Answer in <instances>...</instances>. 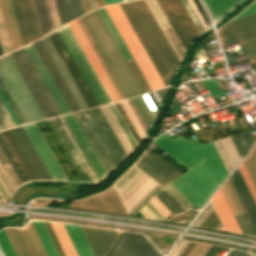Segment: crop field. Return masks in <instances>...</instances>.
Masks as SVG:
<instances>
[{
  "instance_id": "crop-field-46",
  "label": "crop field",
  "mask_w": 256,
  "mask_h": 256,
  "mask_svg": "<svg viewBox=\"0 0 256 256\" xmlns=\"http://www.w3.org/2000/svg\"><path fill=\"white\" fill-rule=\"evenodd\" d=\"M0 99H1V101L3 103V105L5 106L7 112L9 113L11 119L13 120L15 126H19L20 123H19L18 119L16 118L14 112L12 111L10 105L8 104L6 98L4 97V95H3L1 90H0Z\"/></svg>"
},
{
  "instance_id": "crop-field-9",
  "label": "crop field",
  "mask_w": 256,
  "mask_h": 256,
  "mask_svg": "<svg viewBox=\"0 0 256 256\" xmlns=\"http://www.w3.org/2000/svg\"><path fill=\"white\" fill-rule=\"evenodd\" d=\"M114 168L127 156L100 107L83 111Z\"/></svg>"
},
{
  "instance_id": "crop-field-7",
  "label": "crop field",
  "mask_w": 256,
  "mask_h": 256,
  "mask_svg": "<svg viewBox=\"0 0 256 256\" xmlns=\"http://www.w3.org/2000/svg\"><path fill=\"white\" fill-rule=\"evenodd\" d=\"M29 180L51 179L22 127L3 131Z\"/></svg>"
},
{
  "instance_id": "crop-field-22",
  "label": "crop field",
  "mask_w": 256,
  "mask_h": 256,
  "mask_svg": "<svg viewBox=\"0 0 256 256\" xmlns=\"http://www.w3.org/2000/svg\"><path fill=\"white\" fill-rule=\"evenodd\" d=\"M18 232L30 256H47L30 221Z\"/></svg>"
},
{
  "instance_id": "crop-field-50",
  "label": "crop field",
  "mask_w": 256,
  "mask_h": 256,
  "mask_svg": "<svg viewBox=\"0 0 256 256\" xmlns=\"http://www.w3.org/2000/svg\"><path fill=\"white\" fill-rule=\"evenodd\" d=\"M4 230H5V232H6L7 236H8V238H9V240H10V242H11V244H12V246H13L15 252H16V255H17V256H22L21 253H20V251H19V249H18V247H17V245H16V243H15V241H14V239H13V237H12V235H11V233H10V231H9V229L6 228V229H4Z\"/></svg>"
},
{
  "instance_id": "crop-field-15",
  "label": "crop field",
  "mask_w": 256,
  "mask_h": 256,
  "mask_svg": "<svg viewBox=\"0 0 256 256\" xmlns=\"http://www.w3.org/2000/svg\"><path fill=\"white\" fill-rule=\"evenodd\" d=\"M71 30L73 31L75 37L77 38L78 42L80 43L82 49L84 50L86 56L88 57L90 63L92 64L93 68L95 69L97 75L104 74L105 71L101 66L99 60L97 59L95 53L93 52L91 46L89 45L88 41L86 40L84 34L82 33L80 27L78 26L76 20L68 23ZM102 84L104 85L107 93L109 94L112 102L120 100L118 93L116 92L114 86L112 85L111 81L109 80L107 74L99 76Z\"/></svg>"
},
{
  "instance_id": "crop-field-45",
  "label": "crop field",
  "mask_w": 256,
  "mask_h": 256,
  "mask_svg": "<svg viewBox=\"0 0 256 256\" xmlns=\"http://www.w3.org/2000/svg\"><path fill=\"white\" fill-rule=\"evenodd\" d=\"M0 147L2 148L4 154L6 155V157H7L8 161H9V163L11 164V166H12L13 170L15 171L17 177L19 178L21 184L25 183L24 180H23V178H22V176H21V174L19 173L17 167L15 166V164H14L12 158L10 157V155H9V153H8V151H7V149L5 148L3 142L1 141V139H0Z\"/></svg>"
},
{
  "instance_id": "crop-field-43",
  "label": "crop field",
  "mask_w": 256,
  "mask_h": 256,
  "mask_svg": "<svg viewBox=\"0 0 256 256\" xmlns=\"http://www.w3.org/2000/svg\"><path fill=\"white\" fill-rule=\"evenodd\" d=\"M0 88H1V90L3 91V93H4L5 97L7 98V100H8V102H9V104L11 105V107H12L13 111L15 112V114H16V116H17V118L19 119V121H20L21 125H24V124H25V122H24L23 118L21 117L20 113L18 112V110H17L16 106L14 105V103H13L12 99L10 98V96H9V94H8L7 90L5 89V87H4V85H3V83H2V81H1V80H0Z\"/></svg>"
},
{
  "instance_id": "crop-field-4",
  "label": "crop field",
  "mask_w": 256,
  "mask_h": 256,
  "mask_svg": "<svg viewBox=\"0 0 256 256\" xmlns=\"http://www.w3.org/2000/svg\"><path fill=\"white\" fill-rule=\"evenodd\" d=\"M0 77L26 124L44 119L9 54L0 57Z\"/></svg>"
},
{
  "instance_id": "crop-field-1",
  "label": "crop field",
  "mask_w": 256,
  "mask_h": 256,
  "mask_svg": "<svg viewBox=\"0 0 256 256\" xmlns=\"http://www.w3.org/2000/svg\"><path fill=\"white\" fill-rule=\"evenodd\" d=\"M164 86L170 85L180 64L144 0L119 4Z\"/></svg>"
},
{
  "instance_id": "crop-field-6",
  "label": "crop field",
  "mask_w": 256,
  "mask_h": 256,
  "mask_svg": "<svg viewBox=\"0 0 256 256\" xmlns=\"http://www.w3.org/2000/svg\"><path fill=\"white\" fill-rule=\"evenodd\" d=\"M106 9L127 47L132 53L136 64L149 84L151 90L163 87L161 80L159 79L156 71L150 63L118 4L107 6Z\"/></svg>"
},
{
  "instance_id": "crop-field-36",
  "label": "crop field",
  "mask_w": 256,
  "mask_h": 256,
  "mask_svg": "<svg viewBox=\"0 0 256 256\" xmlns=\"http://www.w3.org/2000/svg\"><path fill=\"white\" fill-rule=\"evenodd\" d=\"M202 83L213 98L224 95L215 79L202 80Z\"/></svg>"
},
{
  "instance_id": "crop-field-18",
  "label": "crop field",
  "mask_w": 256,
  "mask_h": 256,
  "mask_svg": "<svg viewBox=\"0 0 256 256\" xmlns=\"http://www.w3.org/2000/svg\"><path fill=\"white\" fill-rule=\"evenodd\" d=\"M27 53L29 54L31 60L33 61L35 67L37 68L39 74L41 75L42 79L44 80L46 86L48 87L50 93L52 94L54 100L56 101L58 107L60 108L62 114L69 113L70 110L66 105L63 97L61 96L59 90L57 89L56 85L54 84L52 78L50 77L49 73L47 72L45 66L43 65L42 61L40 60L39 56L37 55L35 49L33 48L32 44L25 46Z\"/></svg>"
},
{
  "instance_id": "crop-field-54",
  "label": "crop field",
  "mask_w": 256,
  "mask_h": 256,
  "mask_svg": "<svg viewBox=\"0 0 256 256\" xmlns=\"http://www.w3.org/2000/svg\"><path fill=\"white\" fill-rule=\"evenodd\" d=\"M216 216H217V215H216V213H215L214 210H213V212L210 214V216H209L208 219L205 221V223L202 225V227L208 228L209 225L212 223V221L215 219Z\"/></svg>"
},
{
  "instance_id": "crop-field-64",
  "label": "crop field",
  "mask_w": 256,
  "mask_h": 256,
  "mask_svg": "<svg viewBox=\"0 0 256 256\" xmlns=\"http://www.w3.org/2000/svg\"><path fill=\"white\" fill-rule=\"evenodd\" d=\"M0 154H1V156L3 157L5 163H7V161H6L5 157H4V155L2 154L1 150H0Z\"/></svg>"
},
{
  "instance_id": "crop-field-14",
  "label": "crop field",
  "mask_w": 256,
  "mask_h": 256,
  "mask_svg": "<svg viewBox=\"0 0 256 256\" xmlns=\"http://www.w3.org/2000/svg\"><path fill=\"white\" fill-rule=\"evenodd\" d=\"M149 149L147 148L145 154L135 164L149 174L158 183L164 185L182 175L179 171Z\"/></svg>"
},
{
  "instance_id": "crop-field-63",
  "label": "crop field",
  "mask_w": 256,
  "mask_h": 256,
  "mask_svg": "<svg viewBox=\"0 0 256 256\" xmlns=\"http://www.w3.org/2000/svg\"><path fill=\"white\" fill-rule=\"evenodd\" d=\"M24 48V47H23ZM25 50V49H24ZM26 52V51H25ZM27 54V53H26ZM28 55V54H27ZM29 57V56H28ZM30 59V58H29ZM31 61V60H30ZM32 62V61H31ZM33 64V63H32ZM34 66V65H33ZM35 68V67H34ZM36 69V68H35ZM37 71V70H36ZM38 73V72H37ZM39 75V74H38ZM40 76V75H39ZM41 78V77H40ZM42 80V79H41ZM43 82V81H42ZM44 83V82H43ZM45 85V84H44ZM46 87V86H45ZM47 88V87H46ZM48 90V89H47ZM49 92V91H48ZM50 94V93H49ZM51 95V94H50ZM52 97V96H51ZM53 99V98H52ZM54 101V100H53ZM55 102V101H54ZM56 104V103H55ZM57 106V105H56ZM58 108V107H57ZM59 109V108H58ZM60 111V110H59ZM61 113V112H60ZM62 115V114H61Z\"/></svg>"
},
{
  "instance_id": "crop-field-23",
  "label": "crop field",
  "mask_w": 256,
  "mask_h": 256,
  "mask_svg": "<svg viewBox=\"0 0 256 256\" xmlns=\"http://www.w3.org/2000/svg\"><path fill=\"white\" fill-rule=\"evenodd\" d=\"M63 225L76 249L78 256H93L79 227L75 225Z\"/></svg>"
},
{
  "instance_id": "crop-field-17",
  "label": "crop field",
  "mask_w": 256,
  "mask_h": 256,
  "mask_svg": "<svg viewBox=\"0 0 256 256\" xmlns=\"http://www.w3.org/2000/svg\"><path fill=\"white\" fill-rule=\"evenodd\" d=\"M80 227L94 256H104L108 248L118 237L117 232L113 230Z\"/></svg>"
},
{
  "instance_id": "crop-field-65",
  "label": "crop field",
  "mask_w": 256,
  "mask_h": 256,
  "mask_svg": "<svg viewBox=\"0 0 256 256\" xmlns=\"http://www.w3.org/2000/svg\"><path fill=\"white\" fill-rule=\"evenodd\" d=\"M3 53H2V49H1V46H0V55H2Z\"/></svg>"
},
{
  "instance_id": "crop-field-59",
  "label": "crop field",
  "mask_w": 256,
  "mask_h": 256,
  "mask_svg": "<svg viewBox=\"0 0 256 256\" xmlns=\"http://www.w3.org/2000/svg\"><path fill=\"white\" fill-rule=\"evenodd\" d=\"M123 0H105V4L108 5V4H112V3H117V2H121Z\"/></svg>"
},
{
  "instance_id": "crop-field-31",
  "label": "crop field",
  "mask_w": 256,
  "mask_h": 256,
  "mask_svg": "<svg viewBox=\"0 0 256 256\" xmlns=\"http://www.w3.org/2000/svg\"><path fill=\"white\" fill-rule=\"evenodd\" d=\"M173 215L183 210L172 200V198L161 188L154 195Z\"/></svg>"
},
{
  "instance_id": "crop-field-3",
  "label": "crop field",
  "mask_w": 256,
  "mask_h": 256,
  "mask_svg": "<svg viewBox=\"0 0 256 256\" xmlns=\"http://www.w3.org/2000/svg\"><path fill=\"white\" fill-rule=\"evenodd\" d=\"M41 40L69 86L79 108L82 110L98 106L57 31Z\"/></svg>"
},
{
  "instance_id": "crop-field-12",
  "label": "crop field",
  "mask_w": 256,
  "mask_h": 256,
  "mask_svg": "<svg viewBox=\"0 0 256 256\" xmlns=\"http://www.w3.org/2000/svg\"><path fill=\"white\" fill-rule=\"evenodd\" d=\"M70 207L127 216L114 187L96 196L73 201Z\"/></svg>"
},
{
  "instance_id": "crop-field-52",
  "label": "crop field",
  "mask_w": 256,
  "mask_h": 256,
  "mask_svg": "<svg viewBox=\"0 0 256 256\" xmlns=\"http://www.w3.org/2000/svg\"><path fill=\"white\" fill-rule=\"evenodd\" d=\"M223 249V250H229V249H226V248H220V247H214V246H211V248L208 250V252L206 253L205 256H215L217 253H219V251Z\"/></svg>"
},
{
  "instance_id": "crop-field-34",
  "label": "crop field",
  "mask_w": 256,
  "mask_h": 256,
  "mask_svg": "<svg viewBox=\"0 0 256 256\" xmlns=\"http://www.w3.org/2000/svg\"><path fill=\"white\" fill-rule=\"evenodd\" d=\"M250 64L256 63V38L240 44Z\"/></svg>"
},
{
  "instance_id": "crop-field-68",
  "label": "crop field",
  "mask_w": 256,
  "mask_h": 256,
  "mask_svg": "<svg viewBox=\"0 0 256 256\" xmlns=\"http://www.w3.org/2000/svg\"><path fill=\"white\" fill-rule=\"evenodd\" d=\"M0 172H1V169H0Z\"/></svg>"
},
{
  "instance_id": "crop-field-37",
  "label": "crop field",
  "mask_w": 256,
  "mask_h": 256,
  "mask_svg": "<svg viewBox=\"0 0 256 256\" xmlns=\"http://www.w3.org/2000/svg\"><path fill=\"white\" fill-rule=\"evenodd\" d=\"M0 248L4 256H16L4 230L0 231Z\"/></svg>"
},
{
  "instance_id": "crop-field-47",
  "label": "crop field",
  "mask_w": 256,
  "mask_h": 256,
  "mask_svg": "<svg viewBox=\"0 0 256 256\" xmlns=\"http://www.w3.org/2000/svg\"><path fill=\"white\" fill-rule=\"evenodd\" d=\"M153 206L166 218L172 215L154 196L149 200Z\"/></svg>"
},
{
  "instance_id": "crop-field-67",
  "label": "crop field",
  "mask_w": 256,
  "mask_h": 256,
  "mask_svg": "<svg viewBox=\"0 0 256 256\" xmlns=\"http://www.w3.org/2000/svg\"><path fill=\"white\" fill-rule=\"evenodd\" d=\"M249 255H250V256H256V255H254V254H250V253H249Z\"/></svg>"
},
{
  "instance_id": "crop-field-5",
  "label": "crop field",
  "mask_w": 256,
  "mask_h": 256,
  "mask_svg": "<svg viewBox=\"0 0 256 256\" xmlns=\"http://www.w3.org/2000/svg\"><path fill=\"white\" fill-rule=\"evenodd\" d=\"M170 183L197 209L218 186L204 160Z\"/></svg>"
},
{
  "instance_id": "crop-field-28",
  "label": "crop field",
  "mask_w": 256,
  "mask_h": 256,
  "mask_svg": "<svg viewBox=\"0 0 256 256\" xmlns=\"http://www.w3.org/2000/svg\"><path fill=\"white\" fill-rule=\"evenodd\" d=\"M77 22H78L79 26L81 27L83 33L85 34L87 40L89 41L90 45L92 46L94 52L96 53L98 59L100 60L102 66L104 67L106 73L108 74L110 80L112 81L113 85L115 86V88H116L117 92L119 93L121 99H124V98H125L124 94L122 93L120 87L118 86V84H117V82L115 81L113 75L111 74V72H110V70H109L110 68L108 69L109 66L107 67V65H106V63H105V61H104L105 59L103 60V58H102L100 52L98 51V49H97L95 43L93 42L91 36L89 35V33H88L86 27L84 26V24H83L81 18L77 19Z\"/></svg>"
},
{
  "instance_id": "crop-field-49",
  "label": "crop field",
  "mask_w": 256,
  "mask_h": 256,
  "mask_svg": "<svg viewBox=\"0 0 256 256\" xmlns=\"http://www.w3.org/2000/svg\"><path fill=\"white\" fill-rule=\"evenodd\" d=\"M254 12H256V1H254L247 9H245L243 12H241L239 15H237L233 19L245 16V15H248V14H251V13H254Z\"/></svg>"
},
{
  "instance_id": "crop-field-25",
  "label": "crop field",
  "mask_w": 256,
  "mask_h": 256,
  "mask_svg": "<svg viewBox=\"0 0 256 256\" xmlns=\"http://www.w3.org/2000/svg\"><path fill=\"white\" fill-rule=\"evenodd\" d=\"M255 223H256V204L238 170V168L231 174Z\"/></svg>"
},
{
  "instance_id": "crop-field-10",
  "label": "crop field",
  "mask_w": 256,
  "mask_h": 256,
  "mask_svg": "<svg viewBox=\"0 0 256 256\" xmlns=\"http://www.w3.org/2000/svg\"><path fill=\"white\" fill-rule=\"evenodd\" d=\"M178 39L186 50L189 43L200 33L195 28L180 0H156Z\"/></svg>"
},
{
  "instance_id": "crop-field-44",
  "label": "crop field",
  "mask_w": 256,
  "mask_h": 256,
  "mask_svg": "<svg viewBox=\"0 0 256 256\" xmlns=\"http://www.w3.org/2000/svg\"><path fill=\"white\" fill-rule=\"evenodd\" d=\"M9 229H10V231H11V233H12V235H13V237H14V239H15V241H16V243H17V245H18V247H19V249L22 253V255L23 256H29V254H28V252H27V250H26V248H25V246H24V244H23V242H22V240H21V238H20V236L17 232L18 229L17 230L12 229V228H9Z\"/></svg>"
},
{
  "instance_id": "crop-field-42",
  "label": "crop field",
  "mask_w": 256,
  "mask_h": 256,
  "mask_svg": "<svg viewBox=\"0 0 256 256\" xmlns=\"http://www.w3.org/2000/svg\"><path fill=\"white\" fill-rule=\"evenodd\" d=\"M181 1L183 2V4H184L186 10L188 11V13H189L191 19L193 20V22H194L196 28H197V29L199 30V32L201 33L204 29H203L201 23L199 22V20H198L196 14L194 13L192 7L190 6L188 0H181Z\"/></svg>"
},
{
  "instance_id": "crop-field-29",
  "label": "crop field",
  "mask_w": 256,
  "mask_h": 256,
  "mask_svg": "<svg viewBox=\"0 0 256 256\" xmlns=\"http://www.w3.org/2000/svg\"><path fill=\"white\" fill-rule=\"evenodd\" d=\"M66 256H77L74 247L62 224L50 223Z\"/></svg>"
},
{
  "instance_id": "crop-field-21",
  "label": "crop field",
  "mask_w": 256,
  "mask_h": 256,
  "mask_svg": "<svg viewBox=\"0 0 256 256\" xmlns=\"http://www.w3.org/2000/svg\"><path fill=\"white\" fill-rule=\"evenodd\" d=\"M211 202L224 227L228 230L241 233L220 189H218V191L212 197Z\"/></svg>"
},
{
  "instance_id": "crop-field-38",
  "label": "crop field",
  "mask_w": 256,
  "mask_h": 256,
  "mask_svg": "<svg viewBox=\"0 0 256 256\" xmlns=\"http://www.w3.org/2000/svg\"><path fill=\"white\" fill-rule=\"evenodd\" d=\"M5 4H6V7H7L8 14H9V18H10V22H11L12 29H13V32H14L17 47L19 48L22 45H21V41H20L18 30H17V26H16V22H15V18H14V14H13V11H12L10 0H5Z\"/></svg>"
},
{
  "instance_id": "crop-field-26",
  "label": "crop field",
  "mask_w": 256,
  "mask_h": 256,
  "mask_svg": "<svg viewBox=\"0 0 256 256\" xmlns=\"http://www.w3.org/2000/svg\"><path fill=\"white\" fill-rule=\"evenodd\" d=\"M230 138L242 160L254 142L249 131L234 134Z\"/></svg>"
},
{
  "instance_id": "crop-field-20",
  "label": "crop field",
  "mask_w": 256,
  "mask_h": 256,
  "mask_svg": "<svg viewBox=\"0 0 256 256\" xmlns=\"http://www.w3.org/2000/svg\"><path fill=\"white\" fill-rule=\"evenodd\" d=\"M55 121H56V123H57V125L59 127V128H57V131H58V133L61 136L63 141H61L59 135L57 134V132L54 129L53 125L51 124L50 120H48V122H49V124H50V126H51V128H52V130L54 132V134L56 135V137H57L58 141L60 142L62 148L64 149L66 155L68 156L69 160L71 161V163H72L73 167L75 168L77 174L79 175L81 181H92L90 176H89V174H88V172H86V173L83 172V170H82V168H81L77 158H75V160L77 162L75 164L71 160L70 157H72V154H71L70 151H72L71 148H74L75 145L72 142V140L70 139V137H69L68 133L66 132L65 128L62 127L59 118H56Z\"/></svg>"
},
{
  "instance_id": "crop-field-61",
  "label": "crop field",
  "mask_w": 256,
  "mask_h": 256,
  "mask_svg": "<svg viewBox=\"0 0 256 256\" xmlns=\"http://www.w3.org/2000/svg\"><path fill=\"white\" fill-rule=\"evenodd\" d=\"M96 2H97V6H98V7L105 5V4H104V0H96Z\"/></svg>"
},
{
  "instance_id": "crop-field-51",
  "label": "crop field",
  "mask_w": 256,
  "mask_h": 256,
  "mask_svg": "<svg viewBox=\"0 0 256 256\" xmlns=\"http://www.w3.org/2000/svg\"><path fill=\"white\" fill-rule=\"evenodd\" d=\"M254 17H256V13L245 16V17H242V18H239V19H236V20H233V21H230L226 25H224L223 27H226V26H229V25H232V24H235V23L247 20V19H251V18H254ZM223 27H221V28H223Z\"/></svg>"
},
{
  "instance_id": "crop-field-33",
  "label": "crop field",
  "mask_w": 256,
  "mask_h": 256,
  "mask_svg": "<svg viewBox=\"0 0 256 256\" xmlns=\"http://www.w3.org/2000/svg\"><path fill=\"white\" fill-rule=\"evenodd\" d=\"M243 163L256 187V144Z\"/></svg>"
},
{
  "instance_id": "crop-field-60",
  "label": "crop field",
  "mask_w": 256,
  "mask_h": 256,
  "mask_svg": "<svg viewBox=\"0 0 256 256\" xmlns=\"http://www.w3.org/2000/svg\"><path fill=\"white\" fill-rule=\"evenodd\" d=\"M78 3H79V6H80V10H81V14H85L84 12V8H83V5H82V1L81 0H78Z\"/></svg>"
},
{
  "instance_id": "crop-field-27",
  "label": "crop field",
  "mask_w": 256,
  "mask_h": 256,
  "mask_svg": "<svg viewBox=\"0 0 256 256\" xmlns=\"http://www.w3.org/2000/svg\"><path fill=\"white\" fill-rule=\"evenodd\" d=\"M97 10L100 12V14H101V16H102L104 22L106 23V25H107L109 31L111 32V34H112V36H113L115 42L117 43V45H118L120 51H121L122 54H123L125 60H126L127 62L133 60V58L131 57L130 53L128 52L126 46L124 45L122 39L120 38V36H119V34H118V32H117V30H116L114 24L112 23L110 17L108 16V14H107L105 8L102 7V8H99V9H97Z\"/></svg>"
},
{
  "instance_id": "crop-field-24",
  "label": "crop field",
  "mask_w": 256,
  "mask_h": 256,
  "mask_svg": "<svg viewBox=\"0 0 256 256\" xmlns=\"http://www.w3.org/2000/svg\"><path fill=\"white\" fill-rule=\"evenodd\" d=\"M214 21L240 3L242 0H203Z\"/></svg>"
},
{
  "instance_id": "crop-field-53",
  "label": "crop field",
  "mask_w": 256,
  "mask_h": 256,
  "mask_svg": "<svg viewBox=\"0 0 256 256\" xmlns=\"http://www.w3.org/2000/svg\"><path fill=\"white\" fill-rule=\"evenodd\" d=\"M55 3H56V6H57V10H58V13H59L61 24L63 25L66 22H65L64 14H63L62 7H61V4H60V0H55Z\"/></svg>"
},
{
  "instance_id": "crop-field-56",
  "label": "crop field",
  "mask_w": 256,
  "mask_h": 256,
  "mask_svg": "<svg viewBox=\"0 0 256 256\" xmlns=\"http://www.w3.org/2000/svg\"><path fill=\"white\" fill-rule=\"evenodd\" d=\"M226 256H249L248 253L230 250Z\"/></svg>"
},
{
  "instance_id": "crop-field-19",
  "label": "crop field",
  "mask_w": 256,
  "mask_h": 256,
  "mask_svg": "<svg viewBox=\"0 0 256 256\" xmlns=\"http://www.w3.org/2000/svg\"><path fill=\"white\" fill-rule=\"evenodd\" d=\"M65 118L101 181L102 179H104L107 176L104 169L102 168L100 162L98 161L96 155L94 154L93 150L91 149L89 143L87 142L85 136L83 135L82 131L80 130V128H79L78 124L76 123L75 119L73 118L72 114L65 115Z\"/></svg>"
},
{
  "instance_id": "crop-field-58",
  "label": "crop field",
  "mask_w": 256,
  "mask_h": 256,
  "mask_svg": "<svg viewBox=\"0 0 256 256\" xmlns=\"http://www.w3.org/2000/svg\"><path fill=\"white\" fill-rule=\"evenodd\" d=\"M83 4H84V8H85V12H89L91 11V5H90V1L89 0H82Z\"/></svg>"
},
{
  "instance_id": "crop-field-30",
  "label": "crop field",
  "mask_w": 256,
  "mask_h": 256,
  "mask_svg": "<svg viewBox=\"0 0 256 256\" xmlns=\"http://www.w3.org/2000/svg\"><path fill=\"white\" fill-rule=\"evenodd\" d=\"M48 256H58L42 223L31 221Z\"/></svg>"
},
{
  "instance_id": "crop-field-48",
  "label": "crop field",
  "mask_w": 256,
  "mask_h": 256,
  "mask_svg": "<svg viewBox=\"0 0 256 256\" xmlns=\"http://www.w3.org/2000/svg\"><path fill=\"white\" fill-rule=\"evenodd\" d=\"M240 166H241V168H242V170H243V172H244V174H245V176H246L248 182L250 183V185H251V187H252V189H253V191H254V193H255V195H256V190H255V188H254V186H253V184H252V182H251V180H250V178H249V176H248V174H247V172H246V170H245L243 164H241ZM240 166H239L238 168H239V170H240V172H241V174H242V176H243V178H244V180H245V182H246V184H247V186H248V188H249V190H250V192H251V194H252L254 200H256V197H255V195H254V193H253V191H252V189H251L249 183L247 182V180H246V178H245V176H244V174H243V172H242ZM255 202H256V201H255Z\"/></svg>"
},
{
  "instance_id": "crop-field-16",
  "label": "crop field",
  "mask_w": 256,
  "mask_h": 256,
  "mask_svg": "<svg viewBox=\"0 0 256 256\" xmlns=\"http://www.w3.org/2000/svg\"><path fill=\"white\" fill-rule=\"evenodd\" d=\"M221 45L241 43L256 37V18L219 30Z\"/></svg>"
},
{
  "instance_id": "crop-field-13",
  "label": "crop field",
  "mask_w": 256,
  "mask_h": 256,
  "mask_svg": "<svg viewBox=\"0 0 256 256\" xmlns=\"http://www.w3.org/2000/svg\"><path fill=\"white\" fill-rule=\"evenodd\" d=\"M28 138L40 156L52 179L67 180L52 151L38 129L36 123L23 126Z\"/></svg>"
},
{
  "instance_id": "crop-field-57",
  "label": "crop field",
  "mask_w": 256,
  "mask_h": 256,
  "mask_svg": "<svg viewBox=\"0 0 256 256\" xmlns=\"http://www.w3.org/2000/svg\"><path fill=\"white\" fill-rule=\"evenodd\" d=\"M63 117V119H64V121H65V123L67 124V122H66V120H65V118H64V116H62ZM67 126H68V128H69V130L71 131V129H70V127H69V125L67 124ZM71 133H72V135H73V137L75 138V136H74V134H73V132L71 131ZM75 140H76V138H75ZM76 142H77V144L79 145V143H78V141L76 140ZM79 147H80V145H79ZM80 149H81V147H80ZM81 151H82V153L84 154V152H83V150L81 149ZM84 156H85V154H84ZM85 158H86V160L88 161V159H87V157L85 156ZM88 163H89V161H88ZM89 165H90V163H89ZM90 167L92 168V166L90 165ZM92 170H93V168H92ZM93 172H94V170H93ZM94 174L96 175V173L94 172ZM96 177H97V175H96ZM97 179H98V177H97ZM98 181H99V179H98Z\"/></svg>"
},
{
  "instance_id": "crop-field-8",
  "label": "crop field",
  "mask_w": 256,
  "mask_h": 256,
  "mask_svg": "<svg viewBox=\"0 0 256 256\" xmlns=\"http://www.w3.org/2000/svg\"><path fill=\"white\" fill-rule=\"evenodd\" d=\"M76 65L81 71L99 105L111 103L109 96L91 67L88 59L70 30L68 24L57 30Z\"/></svg>"
},
{
  "instance_id": "crop-field-40",
  "label": "crop field",
  "mask_w": 256,
  "mask_h": 256,
  "mask_svg": "<svg viewBox=\"0 0 256 256\" xmlns=\"http://www.w3.org/2000/svg\"><path fill=\"white\" fill-rule=\"evenodd\" d=\"M0 5H1V8H2L3 15H4V19H5V23H6V26H7L9 38H10L11 45H12V49L13 50L17 49L16 43H15V40H14V36H13V32H12V29H11V25H10V22H9V18H8V15H7L6 7H5V4H4V0H0Z\"/></svg>"
},
{
  "instance_id": "crop-field-39",
  "label": "crop field",
  "mask_w": 256,
  "mask_h": 256,
  "mask_svg": "<svg viewBox=\"0 0 256 256\" xmlns=\"http://www.w3.org/2000/svg\"><path fill=\"white\" fill-rule=\"evenodd\" d=\"M42 223H43V225H44V227H45V229H46V231H47V233H48V235H49V237H50V239H51V241H52V243H53V245H54V247H55V249L58 253V255L59 256H65L64 253H63V250H62V248H61V246H60V244H59V242H58V240H57V238H56V236H55V234H54V232H53V230L50 226V224L45 223V222H42Z\"/></svg>"
},
{
  "instance_id": "crop-field-62",
  "label": "crop field",
  "mask_w": 256,
  "mask_h": 256,
  "mask_svg": "<svg viewBox=\"0 0 256 256\" xmlns=\"http://www.w3.org/2000/svg\"><path fill=\"white\" fill-rule=\"evenodd\" d=\"M90 1H91L92 9L97 8L95 0H90Z\"/></svg>"
},
{
  "instance_id": "crop-field-35",
  "label": "crop field",
  "mask_w": 256,
  "mask_h": 256,
  "mask_svg": "<svg viewBox=\"0 0 256 256\" xmlns=\"http://www.w3.org/2000/svg\"><path fill=\"white\" fill-rule=\"evenodd\" d=\"M242 233L256 235V232L247 216V214L235 217Z\"/></svg>"
},
{
  "instance_id": "crop-field-66",
  "label": "crop field",
  "mask_w": 256,
  "mask_h": 256,
  "mask_svg": "<svg viewBox=\"0 0 256 256\" xmlns=\"http://www.w3.org/2000/svg\"><path fill=\"white\" fill-rule=\"evenodd\" d=\"M0 160H1L2 164H4V161H3V159L1 158V156H0Z\"/></svg>"
},
{
  "instance_id": "crop-field-11",
  "label": "crop field",
  "mask_w": 256,
  "mask_h": 256,
  "mask_svg": "<svg viewBox=\"0 0 256 256\" xmlns=\"http://www.w3.org/2000/svg\"><path fill=\"white\" fill-rule=\"evenodd\" d=\"M19 29L22 45H26L38 38L40 32L35 18L31 0H11Z\"/></svg>"
},
{
  "instance_id": "crop-field-41",
  "label": "crop field",
  "mask_w": 256,
  "mask_h": 256,
  "mask_svg": "<svg viewBox=\"0 0 256 256\" xmlns=\"http://www.w3.org/2000/svg\"><path fill=\"white\" fill-rule=\"evenodd\" d=\"M225 184H226V186H227V188H228V190H229V192H230V194H231V196H232L240 214L246 213L242 204H241V202H240V200H239V198H238V196H237V194H236V192H235V190H234V188H233V186H232V184H231V182H230V180H229V178L227 179Z\"/></svg>"
},
{
  "instance_id": "crop-field-55",
  "label": "crop field",
  "mask_w": 256,
  "mask_h": 256,
  "mask_svg": "<svg viewBox=\"0 0 256 256\" xmlns=\"http://www.w3.org/2000/svg\"><path fill=\"white\" fill-rule=\"evenodd\" d=\"M195 243L189 242L188 245L184 248V250L181 252L179 256H186L188 252L191 250V248L194 246Z\"/></svg>"
},
{
  "instance_id": "crop-field-32",
  "label": "crop field",
  "mask_w": 256,
  "mask_h": 256,
  "mask_svg": "<svg viewBox=\"0 0 256 256\" xmlns=\"http://www.w3.org/2000/svg\"><path fill=\"white\" fill-rule=\"evenodd\" d=\"M61 4L65 14L66 22L81 15L77 0H61Z\"/></svg>"
},
{
  "instance_id": "crop-field-2",
  "label": "crop field",
  "mask_w": 256,
  "mask_h": 256,
  "mask_svg": "<svg viewBox=\"0 0 256 256\" xmlns=\"http://www.w3.org/2000/svg\"><path fill=\"white\" fill-rule=\"evenodd\" d=\"M153 143L188 169L204 159L218 185L228 176L212 142L201 144L196 137L188 141L181 136L174 140L165 133Z\"/></svg>"
}]
</instances>
